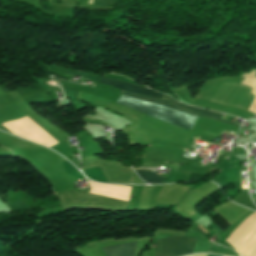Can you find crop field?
<instances>
[{
  "label": "crop field",
  "instance_id": "obj_6",
  "mask_svg": "<svg viewBox=\"0 0 256 256\" xmlns=\"http://www.w3.org/2000/svg\"><path fill=\"white\" fill-rule=\"evenodd\" d=\"M137 174L145 181L154 183V184H159L162 183L165 177H162L157 174H150V173H140L137 172Z\"/></svg>",
  "mask_w": 256,
  "mask_h": 256
},
{
  "label": "crop field",
  "instance_id": "obj_5",
  "mask_svg": "<svg viewBox=\"0 0 256 256\" xmlns=\"http://www.w3.org/2000/svg\"><path fill=\"white\" fill-rule=\"evenodd\" d=\"M136 244L137 242L103 248L102 250L106 256H134Z\"/></svg>",
  "mask_w": 256,
  "mask_h": 256
},
{
  "label": "crop field",
  "instance_id": "obj_2",
  "mask_svg": "<svg viewBox=\"0 0 256 256\" xmlns=\"http://www.w3.org/2000/svg\"><path fill=\"white\" fill-rule=\"evenodd\" d=\"M195 239L167 237L156 240L155 256H184L194 251Z\"/></svg>",
  "mask_w": 256,
  "mask_h": 256
},
{
  "label": "crop field",
  "instance_id": "obj_3",
  "mask_svg": "<svg viewBox=\"0 0 256 256\" xmlns=\"http://www.w3.org/2000/svg\"><path fill=\"white\" fill-rule=\"evenodd\" d=\"M122 94L127 95V96H131V97H134V98L142 99V100H145V101H149V102H152V103L160 104V105H163V106H166V107H169V108H173V109H176V110H179V111H182V112H186V113H189V114L223 121V122H226V123L238 126V127L240 126L239 124H235V123H232V122H229V121L219 119L222 115L221 113L194 108L192 106L176 102V101L172 100L170 97H168L166 95H163L162 99L158 100V99H153V98H149V97H145V96H141V95H137V94H133V93H128V92H124V91H122Z\"/></svg>",
  "mask_w": 256,
  "mask_h": 256
},
{
  "label": "crop field",
  "instance_id": "obj_4",
  "mask_svg": "<svg viewBox=\"0 0 256 256\" xmlns=\"http://www.w3.org/2000/svg\"><path fill=\"white\" fill-rule=\"evenodd\" d=\"M100 83L114 86L120 90L133 92V93H137V94H142V95H146V96H150V97H154V98H158V99H160L162 96V93L152 91L148 88H144V87H140V86H136V85H132V84H128L125 82L108 79V78H104V77L101 78Z\"/></svg>",
  "mask_w": 256,
  "mask_h": 256
},
{
  "label": "crop field",
  "instance_id": "obj_1",
  "mask_svg": "<svg viewBox=\"0 0 256 256\" xmlns=\"http://www.w3.org/2000/svg\"><path fill=\"white\" fill-rule=\"evenodd\" d=\"M148 116L191 130L197 117L121 95L117 101Z\"/></svg>",
  "mask_w": 256,
  "mask_h": 256
}]
</instances>
